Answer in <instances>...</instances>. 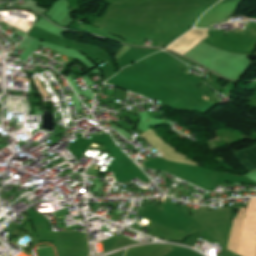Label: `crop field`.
<instances>
[{"instance_id": "crop-field-1", "label": "crop field", "mask_w": 256, "mask_h": 256, "mask_svg": "<svg viewBox=\"0 0 256 256\" xmlns=\"http://www.w3.org/2000/svg\"><path fill=\"white\" fill-rule=\"evenodd\" d=\"M241 165L249 172L256 171V145L233 153Z\"/></svg>"}, {"instance_id": "crop-field-2", "label": "crop field", "mask_w": 256, "mask_h": 256, "mask_svg": "<svg viewBox=\"0 0 256 256\" xmlns=\"http://www.w3.org/2000/svg\"><path fill=\"white\" fill-rule=\"evenodd\" d=\"M204 38H205V37H204ZM200 41H201V40H200ZM196 44H197V43H196ZM193 46H194V45H193ZM193 46H192V47H193ZM189 49H190V48H189ZM189 49H188V50H189ZM185 52H186V51H185ZM185 52H184V53H185ZM181 55H182V54H181Z\"/></svg>"}]
</instances>
